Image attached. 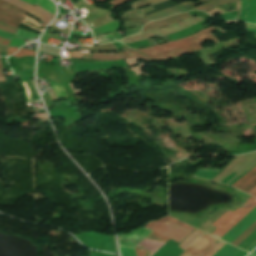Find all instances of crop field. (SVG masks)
I'll return each mask as SVG.
<instances>
[{"instance_id": "22", "label": "crop field", "mask_w": 256, "mask_h": 256, "mask_svg": "<svg viewBox=\"0 0 256 256\" xmlns=\"http://www.w3.org/2000/svg\"><path fill=\"white\" fill-rule=\"evenodd\" d=\"M219 170V169H218ZM218 170H206V169H199L196 172V176L202 177V178H206L211 180L212 177L217 173Z\"/></svg>"}, {"instance_id": "35", "label": "crop field", "mask_w": 256, "mask_h": 256, "mask_svg": "<svg viewBox=\"0 0 256 256\" xmlns=\"http://www.w3.org/2000/svg\"><path fill=\"white\" fill-rule=\"evenodd\" d=\"M0 43L8 46V44L10 43V40H6V39H3V38H0Z\"/></svg>"}, {"instance_id": "11", "label": "crop field", "mask_w": 256, "mask_h": 256, "mask_svg": "<svg viewBox=\"0 0 256 256\" xmlns=\"http://www.w3.org/2000/svg\"><path fill=\"white\" fill-rule=\"evenodd\" d=\"M142 57L150 62H153L152 60L146 58L144 55L139 54L137 51H127V52H121V53H93L91 59H100V60H118V59H124V58H134V57Z\"/></svg>"}, {"instance_id": "23", "label": "crop field", "mask_w": 256, "mask_h": 256, "mask_svg": "<svg viewBox=\"0 0 256 256\" xmlns=\"http://www.w3.org/2000/svg\"><path fill=\"white\" fill-rule=\"evenodd\" d=\"M248 3L249 0H242V6H241V13L239 20L245 21L247 19V13H248Z\"/></svg>"}, {"instance_id": "19", "label": "crop field", "mask_w": 256, "mask_h": 256, "mask_svg": "<svg viewBox=\"0 0 256 256\" xmlns=\"http://www.w3.org/2000/svg\"><path fill=\"white\" fill-rule=\"evenodd\" d=\"M23 1L30 3L32 5L38 4L44 9L51 12L52 14H55V6L51 0H23Z\"/></svg>"}, {"instance_id": "27", "label": "crop field", "mask_w": 256, "mask_h": 256, "mask_svg": "<svg viewBox=\"0 0 256 256\" xmlns=\"http://www.w3.org/2000/svg\"><path fill=\"white\" fill-rule=\"evenodd\" d=\"M237 10H239V13H240V1L237 2ZM231 11H235V10H231ZM231 11H227V12H231ZM207 13L211 14L212 17H214V15H217L219 13H225V11H223V10H221L219 8H216V9L207 11ZM238 18H239V16H238Z\"/></svg>"}, {"instance_id": "5", "label": "crop field", "mask_w": 256, "mask_h": 256, "mask_svg": "<svg viewBox=\"0 0 256 256\" xmlns=\"http://www.w3.org/2000/svg\"><path fill=\"white\" fill-rule=\"evenodd\" d=\"M215 238L203 234L189 248H187L180 256H212L222 245L214 242ZM215 241L225 244V242L216 239Z\"/></svg>"}, {"instance_id": "2", "label": "crop field", "mask_w": 256, "mask_h": 256, "mask_svg": "<svg viewBox=\"0 0 256 256\" xmlns=\"http://www.w3.org/2000/svg\"><path fill=\"white\" fill-rule=\"evenodd\" d=\"M255 207H256V199L251 197L237 211L228 210L223 216H221L213 224V226H216L218 228H216L211 233V235L220 238ZM255 220H256V208L253 211H251L246 217H244L238 224H236L231 230H229L224 236H222L221 239L231 243L245 229H247Z\"/></svg>"}, {"instance_id": "7", "label": "crop field", "mask_w": 256, "mask_h": 256, "mask_svg": "<svg viewBox=\"0 0 256 256\" xmlns=\"http://www.w3.org/2000/svg\"><path fill=\"white\" fill-rule=\"evenodd\" d=\"M147 238H151V239L161 241V242H164V243L169 241V239H167V238H165V237H163V236H161V235H159L155 232H153ZM147 238L145 240H143L139 245L147 248L148 250H150L152 252H156L161 246L164 245V243H160V242L150 240V239H147ZM139 245L135 247L137 256H151L153 254L152 252L146 250L145 248H143Z\"/></svg>"}, {"instance_id": "6", "label": "crop field", "mask_w": 256, "mask_h": 256, "mask_svg": "<svg viewBox=\"0 0 256 256\" xmlns=\"http://www.w3.org/2000/svg\"><path fill=\"white\" fill-rule=\"evenodd\" d=\"M27 11L0 0V21L18 27Z\"/></svg>"}, {"instance_id": "36", "label": "crop field", "mask_w": 256, "mask_h": 256, "mask_svg": "<svg viewBox=\"0 0 256 256\" xmlns=\"http://www.w3.org/2000/svg\"><path fill=\"white\" fill-rule=\"evenodd\" d=\"M22 83H23V85H24V87H25V89H26V92H27L28 98H29V100H30V96H31V94H30V96H29L30 91H29V93H28V89H27V87H26V85H27V84H26V82H25V84H26V85L24 84V82H22ZM31 100H32V99H31ZM31 100H30V101H31Z\"/></svg>"}, {"instance_id": "33", "label": "crop field", "mask_w": 256, "mask_h": 256, "mask_svg": "<svg viewBox=\"0 0 256 256\" xmlns=\"http://www.w3.org/2000/svg\"><path fill=\"white\" fill-rule=\"evenodd\" d=\"M0 82H5V74L1 67V61H0Z\"/></svg>"}, {"instance_id": "37", "label": "crop field", "mask_w": 256, "mask_h": 256, "mask_svg": "<svg viewBox=\"0 0 256 256\" xmlns=\"http://www.w3.org/2000/svg\"><path fill=\"white\" fill-rule=\"evenodd\" d=\"M249 194H251V195H253V196H255V197H256V188H255V189H253L251 192H249Z\"/></svg>"}, {"instance_id": "31", "label": "crop field", "mask_w": 256, "mask_h": 256, "mask_svg": "<svg viewBox=\"0 0 256 256\" xmlns=\"http://www.w3.org/2000/svg\"><path fill=\"white\" fill-rule=\"evenodd\" d=\"M22 40L23 39H19V38H13V40H12V42H11V44H10V46H20V45H22V44H24L23 42H22Z\"/></svg>"}, {"instance_id": "17", "label": "crop field", "mask_w": 256, "mask_h": 256, "mask_svg": "<svg viewBox=\"0 0 256 256\" xmlns=\"http://www.w3.org/2000/svg\"><path fill=\"white\" fill-rule=\"evenodd\" d=\"M19 29L17 30L15 35L0 31V37L10 39V40L12 39L13 36L21 37V38L29 39V40H32L33 38H38L39 37V34L27 32V31H23V30H19Z\"/></svg>"}, {"instance_id": "38", "label": "crop field", "mask_w": 256, "mask_h": 256, "mask_svg": "<svg viewBox=\"0 0 256 256\" xmlns=\"http://www.w3.org/2000/svg\"><path fill=\"white\" fill-rule=\"evenodd\" d=\"M6 49H7V47H5V46H0V51L6 52Z\"/></svg>"}, {"instance_id": "12", "label": "crop field", "mask_w": 256, "mask_h": 256, "mask_svg": "<svg viewBox=\"0 0 256 256\" xmlns=\"http://www.w3.org/2000/svg\"><path fill=\"white\" fill-rule=\"evenodd\" d=\"M231 186L240 189L246 193L256 187V167L245 174L242 178L236 181Z\"/></svg>"}, {"instance_id": "34", "label": "crop field", "mask_w": 256, "mask_h": 256, "mask_svg": "<svg viewBox=\"0 0 256 256\" xmlns=\"http://www.w3.org/2000/svg\"><path fill=\"white\" fill-rule=\"evenodd\" d=\"M18 49H16V48H10V47H8V49H7V55H11V54H13L15 51H17Z\"/></svg>"}, {"instance_id": "24", "label": "crop field", "mask_w": 256, "mask_h": 256, "mask_svg": "<svg viewBox=\"0 0 256 256\" xmlns=\"http://www.w3.org/2000/svg\"><path fill=\"white\" fill-rule=\"evenodd\" d=\"M50 85L54 89L57 99L66 97L65 91L63 90V88L60 85L55 84V83H50Z\"/></svg>"}, {"instance_id": "25", "label": "crop field", "mask_w": 256, "mask_h": 256, "mask_svg": "<svg viewBox=\"0 0 256 256\" xmlns=\"http://www.w3.org/2000/svg\"><path fill=\"white\" fill-rule=\"evenodd\" d=\"M146 22H148V21L147 20H140V19L127 21L125 23L123 22L124 23V29L134 27V26H138V25H142V24H145Z\"/></svg>"}, {"instance_id": "9", "label": "crop field", "mask_w": 256, "mask_h": 256, "mask_svg": "<svg viewBox=\"0 0 256 256\" xmlns=\"http://www.w3.org/2000/svg\"><path fill=\"white\" fill-rule=\"evenodd\" d=\"M151 232L152 231L142 227L133 230L132 233L118 235L119 244L135 247Z\"/></svg>"}, {"instance_id": "16", "label": "crop field", "mask_w": 256, "mask_h": 256, "mask_svg": "<svg viewBox=\"0 0 256 256\" xmlns=\"http://www.w3.org/2000/svg\"><path fill=\"white\" fill-rule=\"evenodd\" d=\"M247 254L248 253L227 243L214 256H246Z\"/></svg>"}, {"instance_id": "10", "label": "crop field", "mask_w": 256, "mask_h": 256, "mask_svg": "<svg viewBox=\"0 0 256 256\" xmlns=\"http://www.w3.org/2000/svg\"><path fill=\"white\" fill-rule=\"evenodd\" d=\"M206 1H209V0H199V1L195 2V3L187 1L185 3H182V4H179V5L167 8L165 10H162L160 12L144 16V17H142V19H152V20H155V19L167 17V16L175 14V13L181 11V10H184L186 8L195 6V5L199 4V3L206 2Z\"/></svg>"}, {"instance_id": "32", "label": "crop field", "mask_w": 256, "mask_h": 256, "mask_svg": "<svg viewBox=\"0 0 256 256\" xmlns=\"http://www.w3.org/2000/svg\"><path fill=\"white\" fill-rule=\"evenodd\" d=\"M246 31H253L256 36V25H251L246 23Z\"/></svg>"}, {"instance_id": "28", "label": "crop field", "mask_w": 256, "mask_h": 256, "mask_svg": "<svg viewBox=\"0 0 256 256\" xmlns=\"http://www.w3.org/2000/svg\"><path fill=\"white\" fill-rule=\"evenodd\" d=\"M34 53L35 51L20 49L19 52L15 54L13 57L21 58L23 56H34Z\"/></svg>"}, {"instance_id": "8", "label": "crop field", "mask_w": 256, "mask_h": 256, "mask_svg": "<svg viewBox=\"0 0 256 256\" xmlns=\"http://www.w3.org/2000/svg\"><path fill=\"white\" fill-rule=\"evenodd\" d=\"M5 1L29 11L28 14L32 15L33 17L37 18L38 20H40V21H42L46 24H48L49 21L54 16V15H52L51 13L44 10L43 8H41L38 5L36 7H34L30 4H26V3L22 2L20 0H5Z\"/></svg>"}, {"instance_id": "41", "label": "crop field", "mask_w": 256, "mask_h": 256, "mask_svg": "<svg viewBox=\"0 0 256 256\" xmlns=\"http://www.w3.org/2000/svg\"><path fill=\"white\" fill-rule=\"evenodd\" d=\"M56 2H58L59 0H55Z\"/></svg>"}, {"instance_id": "3", "label": "crop field", "mask_w": 256, "mask_h": 256, "mask_svg": "<svg viewBox=\"0 0 256 256\" xmlns=\"http://www.w3.org/2000/svg\"><path fill=\"white\" fill-rule=\"evenodd\" d=\"M169 220H171V221H173V222H175V223H177V224H179V225H181V226H183V227H185V228H187V229H189L191 231L194 230V228H192V227H190L188 225H185V224H183V223H181L179 221H176V220H174V219H172V218H170L168 216L165 217V218L156 220V221H158V222L163 224V223H165V222H167ZM156 221H153V222L145 225V227L150 225V224H152V223H154V222H156ZM171 221H169V222H167V223H165L163 225L157 222V223H155V224H153V225H151V226H149L147 228H149V229H151V230H153V231H155V232H157V233H159L161 235H164V236H166V237H168V238H170V239L180 243L185 237H187L191 233V231H189V230H187V229H185V228H183V227H181V226H179V225H177V224H175V223H173Z\"/></svg>"}, {"instance_id": "42", "label": "crop field", "mask_w": 256, "mask_h": 256, "mask_svg": "<svg viewBox=\"0 0 256 256\" xmlns=\"http://www.w3.org/2000/svg\"><path fill=\"white\" fill-rule=\"evenodd\" d=\"M255 23H256V21H255Z\"/></svg>"}, {"instance_id": "15", "label": "crop field", "mask_w": 256, "mask_h": 256, "mask_svg": "<svg viewBox=\"0 0 256 256\" xmlns=\"http://www.w3.org/2000/svg\"><path fill=\"white\" fill-rule=\"evenodd\" d=\"M121 22H122L121 19H117V20H114V21H112V22H110L106 25H103L99 28L93 29L92 30L93 35L96 36V35H101V34L113 32V31H116V30H120L121 29Z\"/></svg>"}, {"instance_id": "1", "label": "crop field", "mask_w": 256, "mask_h": 256, "mask_svg": "<svg viewBox=\"0 0 256 256\" xmlns=\"http://www.w3.org/2000/svg\"><path fill=\"white\" fill-rule=\"evenodd\" d=\"M214 30L216 29L210 26L186 38L138 50L156 61L180 57L192 51L203 49L201 45L206 41L211 40L214 44L219 43L212 33Z\"/></svg>"}, {"instance_id": "4", "label": "crop field", "mask_w": 256, "mask_h": 256, "mask_svg": "<svg viewBox=\"0 0 256 256\" xmlns=\"http://www.w3.org/2000/svg\"><path fill=\"white\" fill-rule=\"evenodd\" d=\"M201 20H204V19H202L200 17H197V18L191 17V18L180 21L176 24H173V25L165 27V28H158V29L142 32V33L127 37V38L121 40L120 42L127 44V43H131V42L144 40L151 36H162V35L174 33L179 30H182L190 25H193Z\"/></svg>"}, {"instance_id": "30", "label": "crop field", "mask_w": 256, "mask_h": 256, "mask_svg": "<svg viewBox=\"0 0 256 256\" xmlns=\"http://www.w3.org/2000/svg\"><path fill=\"white\" fill-rule=\"evenodd\" d=\"M0 30L15 34L16 29L0 22Z\"/></svg>"}, {"instance_id": "20", "label": "crop field", "mask_w": 256, "mask_h": 256, "mask_svg": "<svg viewBox=\"0 0 256 256\" xmlns=\"http://www.w3.org/2000/svg\"><path fill=\"white\" fill-rule=\"evenodd\" d=\"M203 234V232L199 230H195L189 237H187L178 247L182 249H186L188 246H190L198 237H200ZM199 239V238H198ZM197 239V240H198Z\"/></svg>"}, {"instance_id": "21", "label": "crop field", "mask_w": 256, "mask_h": 256, "mask_svg": "<svg viewBox=\"0 0 256 256\" xmlns=\"http://www.w3.org/2000/svg\"><path fill=\"white\" fill-rule=\"evenodd\" d=\"M256 229V221L247 229L245 230L237 239H235L232 244L238 245L241 241H243L251 232ZM252 234V233H251ZM242 243V242H241ZM240 243V244H241Z\"/></svg>"}, {"instance_id": "39", "label": "crop field", "mask_w": 256, "mask_h": 256, "mask_svg": "<svg viewBox=\"0 0 256 256\" xmlns=\"http://www.w3.org/2000/svg\"><path fill=\"white\" fill-rule=\"evenodd\" d=\"M249 256H256V250L253 251Z\"/></svg>"}, {"instance_id": "29", "label": "crop field", "mask_w": 256, "mask_h": 256, "mask_svg": "<svg viewBox=\"0 0 256 256\" xmlns=\"http://www.w3.org/2000/svg\"><path fill=\"white\" fill-rule=\"evenodd\" d=\"M96 1L101 3V2L106 1V0H96ZM127 1H129V0H113V1H111L109 3L114 4L113 6H111V9H113V8L119 6V5H121V4H123V3L127 2Z\"/></svg>"}, {"instance_id": "14", "label": "crop field", "mask_w": 256, "mask_h": 256, "mask_svg": "<svg viewBox=\"0 0 256 256\" xmlns=\"http://www.w3.org/2000/svg\"><path fill=\"white\" fill-rule=\"evenodd\" d=\"M187 17H190V15H188L187 13H180L178 15L172 16V17L167 18V19L151 22V23H148V24L145 25L143 31L158 28V27H162V26L174 23L176 21H180V20H182L184 18H187Z\"/></svg>"}, {"instance_id": "40", "label": "crop field", "mask_w": 256, "mask_h": 256, "mask_svg": "<svg viewBox=\"0 0 256 256\" xmlns=\"http://www.w3.org/2000/svg\"><path fill=\"white\" fill-rule=\"evenodd\" d=\"M31 83H32V81H31ZM32 85H33V84H32ZM33 87H34V86H33ZM34 89H35V88H34ZM35 91H36V90H35ZM36 95H38L37 92H36Z\"/></svg>"}, {"instance_id": "13", "label": "crop field", "mask_w": 256, "mask_h": 256, "mask_svg": "<svg viewBox=\"0 0 256 256\" xmlns=\"http://www.w3.org/2000/svg\"><path fill=\"white\" fill-rule=\"evenodd\" d=\"M78 71L83 70H95V69H108V68H120L126 67V64L123 60L111 61V62H100V63H84L76 64Z\"/></svg>"}, {"instance_id": "18", "label": "crop field", "mask_w": 256, "mask_h": 256, "mask_svg": "<svg viewBox=\"0 0 256 256\" xmlns=\"http://www.w3.org/2000/svg\"><path fill=\"white\" fill-rule=\"evenodd\" d=\"M234 1H238V0H212V1H209L205 4H203V5L195 6V7H192V8L207 11V10L212 9L214 7H217L219 5L227 4V3H230V2H234Z\"/></svg>"}, {"instance_id": "26", "label": "crop field", "mask_w": 256, "mask_h": 256, "mask_svg": "<svg viewBox=\"0 0 256 256\" xmlns=\"http://www.w3.org/2000/svg\"><path fill=\"white\" fill-rule=\"evenodd\" d=\"M120 246L121 256H136L135 250L132 247Z\"/></svg>"}]
</instances>
